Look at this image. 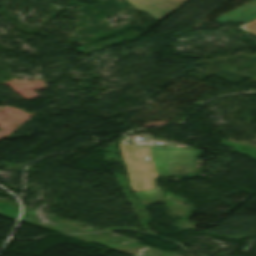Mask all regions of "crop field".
<instances>
[{
    "label": "crop field",
    "mask_w": 256,
    "mask_h": 256,
    "mask_svg": "<svg viewBox=\"0 0 256 256\" xmlns=\"http://www.w3.org/2000/svg\"><path fill=\"white\" fill-rule=\"evenodd\" d=\"M132 193L148 205L164 202L162 187L153 178L193 172L200 150L188 146L158 149L151 146L119 144Z\"/></svg>",
    "instance_id": "crop-field-1"
},
{
    "label": "crop field",
    "mask_w": 256,
    "mask_h": 256,
    "mask_svg": "<svg viewBox=\"0 0 256 256\" xmlns=\"http://www.w3.org/2000/svg\"><path fill=\"white\" fill-rule=\"evenodd\" d=\"M135 9L142 10L150 14L157 20L163 19L173 10L176 6L167 0H127Z\"/></svg>",
    "instance_id": "crop-field-2"
},
{
    "label": "crop field",
    "mask_w": 256,
    "mask_h": 256,
    "mask_svg": "<svg viewBox=\"0 0 256 256\" xmlns=\"http://www.w3.org/2000/svg\"><path fill=\"white\" fill-rule=\"evenodd\" d=\"M256 18V0H253L217 19L224 22H248Z\"/></svg>",
    "instance_id": "crop-field-3"
},
{
    "label": "crop field",
    "mask_w": 256,
    "mask_h": 256,
    "mask_svg": "<svg viewBox=\"0 0 256 256\" xmlns=\"http://www.w3.org/2000/svg\"><path fill=\"white\" fill-rule=\"evenodd\" d=\"M240 27L256 35V19H254Z\"/></svg>",
    "instance_id": "crop-field-4"
},
{
    "label": "crop field",
    "mask_w": 256,
    "mask_h": 256,
    "mask_svg": "<svg viewBox=\"0 0 256 256\" xmlns=\"http://www.w3.org/2000/svg\"><path fill=\"white\" fill-rule=\"evenodd\" d=\"M169 1L179 7L187 0H169Z\"/></svg>",
    "instance_id": "crop-field-5"
}]
</instances>
